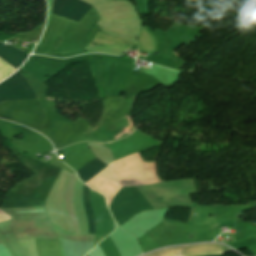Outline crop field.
<instances>
[{
    "label": "crop field",
    "instance_id": "crop-field-4",
    "mask_svg": "<svg viewBox=\"0 0 256 256\" xmlns=\"http://www.w3.org/2000/svg\"><path fill=\"white\" fill-rule=\"evenodd\" d=\"M203 255H212V251L209 244L169 248V249H164L146 256H203ZM223 255L224 254L214 255V256H223Z\"/></svg>",
    "mask_w": 256,
    "mask_h": 256
},
{
    "label": "crop field",
    "instance_id": "crop-field-5",
    "mask_svg": "<svg viewBox=\"0 0 256 256\" xmlns=\"http://www.w3.org/2000/svg\"><path fill=\"white\" fill-rule=\"evenodd\" d=\"M107 166L108 165L96 158L82 169L77 171L78 177L85 183Z\"/></svg>",
    "mask_w": 256,
    "mask_h": 256
},
{
    "label": "crop field",
    "instance_id": "crop-field-6",
    "mask_svg": "<svg viewBox=\"0 0 256 256\" xmlns=\"http://www.w3.org/2000/svg\"><path fill=\"white\" fill-rule=\"evenodd\" d=\"M83 203L85 214L88 219V233L95 234V224L89 200V188L83 184Z\"/></svg>",
    "mask_w": 256,
    "mask_h": 256
},
{
    "label": "crop field",
    "instance_id": "crop-field-3",
    "mask_svg": "<svg viewBox=\"0 0 256 256\" xmlns=\"http://www.w3.org/2000/svg\"><path fill=\"white\" fill-rule=\"evenodd\" d=\"M91 7L80 0H53L52 14L78 22Z\"/></svg>",
    "mask_w": 256,
    "mask_h": 256
},
{
    "label": "crop field",
    "instance_id": "crop-field-1",
    "mask_svg": "<svg viewBox=\"0 0 256 256\" xmlns=\"http://www.w3.org/2000/svg\"><path fill=\"white\" fill-rule=\"evenodd\" d=\"M136 187L154 209L171 206L192 207L189 194L196 193L192 180ZM136 187H123L111 204L110 211L118 225L142 211L153 209ZM159 197L162 200H158Z\"/></svg>",
    "mask_w": 256,
    "mask_h": 256
},
{
    "label": "crop field",
    "instance_id": "crop-field-2",
    "mask_svg": "<svg viewBox=\"0 0 256 256\" xmlns=\"http://www.w3.org/2000/svg\"><path fill=\"white\" fill-rule=\"evenodd\" d=\"M37 98L31 85L20 73H15L0 84V103Z\"/></svg>",
    "mask_w": 256,
    "mask_h": 256
}]
</instances>
